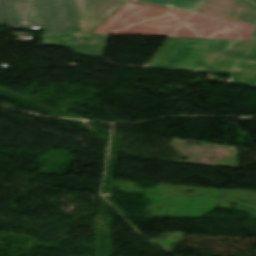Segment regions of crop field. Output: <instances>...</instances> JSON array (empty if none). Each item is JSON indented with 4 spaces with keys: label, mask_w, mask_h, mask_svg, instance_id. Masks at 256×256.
Wrapping results in <instances>:
<instances>
[{
    "label": "crop field",
    "mask_w": 256,
    "mask_h": 256,
    "mask_svg": "<svg viewBox=\"0 0 256 256\" xmlns=\"http://www.w3.org/2000/svg\"><path fill=\"white\" fill-rule=\"evenodd\" d=\"M255 22L247 0H204L192 12L128 1L92 32L250 40Z\"/></svg>",
    "instance_id": "obj_1"
},
{
    "label": "crop field",
    "mask_w": 256,
    "mask_h": 256,
    "mask_svg": "<svg viewBox=\"0 0 256 256\" xmlns=\"http://www.w3.org/2000/svg\"><path fill=\"white\" fill-rule=\"evenodd\" d=\"M148 67L230 74L227 83L256 87V41L171 38Z\"/></svg>",
    "instance_id": "obj_2"
},
{
    "label": "crop field",
    "mask_w": 256,
    "mask_h": 256,
    "mask_svg": "<svg viewBox=\"0 0 256 256\" xmlns=\"http://www.w3.org/2000/svg\"><path fill=\"white\" fill-rule=\"evenodd\" d=\"M127 0H0V24L91 32Z\"/></svg>",
    "instance_id": "obj_3"
},
{
    "label": "crop field",
    "mask_w": 256,
    "mask_h": 256,
    "mask_svg": "<svg viewBox=\"0 0 256 256\" xmlns=\"http://www.w3.org/2000/svg\"><path fill=\"white\" fill-rule=\"evenodd\" d=\"M109 35L44 32L41 44L62 45L80 53L102 56Z\"/></svg>",
    "instance_id": "obj_4"
},
{
    "label": "crop field",
    "mask_w": 256,
    "mask_h": 256,
    "mask_svg": "<svg viewBox=\"0 0 256 256\" xmlns=\"http://www.w3.org/2000/svg\"><path fill=\"white\" fill-rule=\"evenodd\" d=\"M202 1L203 0H172L170 4L174 5L176 8L192 11Z\"/></svg>",
    "instance_id": "obj_5"
},
{
    "label": "crop field",
    "mask_w": 256,
    "mask_h": 256,
    "mask_svg": "<svg viewBox=\"0 0 256 256\" xmlns=\"http://www.w3.org/2000/svg\"><path fill=\"white\" fill-rule=\"evenodd\" d=\"M165 7L171 0H132Z\"/></svg>",
    "instance_id": "obj_6"
},
{
    "label": "crop field",
    "mask_w": 256,
    "mask_h": 256,
    "mask_svg": "<svg viewBox=\"0 0 256 256\" xmlns=\"http://www.w3.org/2000/svg\"><path fill=\"white\" fill-rule=\"evenodd\" d=\"M251 40H256V27H255V30H254V33H253V36H252Z\"/></svg>",
    "instance_id": "obj_7"
},
{
    "label": "crop field",
    "mask_w": 256,
    "mask_h": 256,
    "mask_svg": "<svg viewBox=\"0 0 256 256\" xmlns=\"http://www.w3.org/2000/svg\"><path fill=\"white\" fill-rule=\"evenodd\" d=\"M252 1H254L256 3V0H252Z\"/></svg>",
    "instance_id": "obj_8"
}]
</instances>
